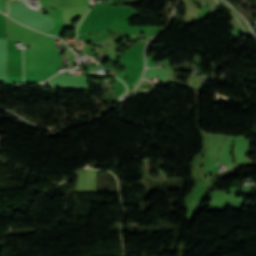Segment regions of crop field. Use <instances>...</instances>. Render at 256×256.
Masks as SVG:
<instances>
[{
	"label": "crop field",
	"mask_w": 256,
	"mask_h": 256,
	"mask_svg": "<svg viewBox=\"0 0 256 256\" xmlns=\"http://www.w3.org/2000/svg\"><path fill=\"white\" fill-rule=\"evenodd\" d=\"M8 20V49L16 48L14 42L21 41L23 46L49 37L46 34L38 33L24 27L9 18Z\"/></svg>",
	"instance_id": "1"
},
{
	"label": "crop field",
	"mask_w": 256,
	"mask_h": 256,
	"mask_svg": "<svg viewBox=\"0 0 256 256\" xmlns=\"http://www.w3.org/2000/svg\"><path fill=\"white\" fill-rule=\"evenodd\" d=\"M7 0H0V11L6 13L7 6H6Z\"/></svg>",
	"instance_id": "2"
}]
</instances>
